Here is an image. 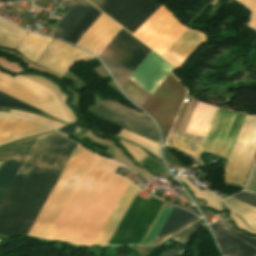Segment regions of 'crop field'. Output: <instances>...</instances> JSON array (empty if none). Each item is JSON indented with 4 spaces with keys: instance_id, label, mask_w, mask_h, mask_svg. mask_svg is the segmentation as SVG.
Instances as JSON below:
<instances>
[{
    "instance_id": "crop-field-26",
    "label": "crop field",
    "mask_w": 256,
    "mask_h": 256,
    "mask_svg": "<svg viewBox=\"0 0 256 256\" xmlns=\"http://www.w3.org/2000/svg\"><path fill=\"white\" fill-rule=\"evenodd\" d=\"M192 212H194L195 214L199 215V213H198L197 211H195L194 209H193V211H192Z\"/></svg>"
},
{
    "instance_id": "crop-field-13",
    "label": "crop field",
    "mask_w": 256,
    "mask_h": 256,
    "mask_svg": "<svg viewBox=\"0 0 256 256\" xmlns=\"http://www.w3.org/2000/svg\"><path fill=\"white\" fill-rule=\"evenodd\" d=\"M196 216L193 214L181 210L174 206L172 212L170 213L168 219L166 220L164 226L159 232L157 238L155 239L153 245L159 244L164 241L169 236L173 235L177 231L191 224L195 220H197Z\"/></svg>"
},
{
    "instance_id": "crop-field-10",
    "label": "crop field",
    "mask_w": 256,
    "mask_h": 256,
    "mask_svg": "<svg viewBox=\"0 0 256 256\" xmlns=\"http://www.w3.org/2000/svg\"><path fill=\"white\" fill-rule=\"evenodd\" d=\"M223 254L230 256H253L256 253V237H248L236 231L233 225L223 221L221 225H209Z\"/></svg>"
},
{
    "instance_id": "crop-field-7",
    "label": "crop field",
    "mask_w": 256,
    "mask_h": 256,
    "mask_svg": "<svg viewBox=\"0 0 256 256\" xmlns=\"http://www.w3.org/2000/svg\"><path fill=\"white\" fill-rule=\"evenodd\" d=\"M245 116L219 109L203 151L227 160Z\"/></svg>"
},
{
    "instance_id": "crop-field-9",
    "label": "crop field",
    "mask_w": 256,
    "mask_h": 256,
    "mask_svg": "<svg viewBox=\"0 0 256 256\" xmlns=\"http://www.w3.org/2000/svg\"><path fill=\"white\" fill-rule=\"evenodd\" d=\"M100 13L85 0H78L49 36L75 44Z\"/></svg>"
},
{
    "instance_id": "crop-field-22",
    "label": "crop field",
    "mask_w": 256,
    "mask_h": 256,
    "mask_svg": "<svg viewBox=\"0 0 256 256\" xmlns=\"http://www.w3.org/2000/svg\"><path fill=\"white\" fill-rule=\"evenodd\" d=\"M164 158L178 164L181 166L179 160L177 157H175L173 154H171L166 147H164Z\"/></svg>"
},
{
    "instance_id": "crop-field-27",
    "label": "crop field",
    "mask_w": 256,
    "mask_h": 256,
    "mask_svg": "<svg viewBox=\"0 0 256 256\" xmlns=\"http://www.w3.org/2000/svg\"><path fill=\"white\" fill-rule=\"evenodd\" d=\"M2 162H0V166H1Z\"/></svg>"
},
{
    "instance_id": "crop-field-17",
    "label": "crop field",
    "mask_w": 256,
    "mask_h": 256,
    "mask_svg": "<svg viewBox=\"0 0 256 256\" xmlns=\"http://www.w3.org/2000/svg\"><path fill=\"white\" fill-rule=\"evenodd\" d=\"M0 106H9V107H17V108H23V109H28V110H31V111H35V112H39V113H42V114H45V115H48L46 113H43L21 101H18L14 98H11L3 93L0 92ZM50 116V115H48ZM52 117V116H50Z\"/></svg>"
},
{
    "instance_id": "crop-field-6",
    "label": "crop field",
    "mask_w": 256,
    "mask_h": 256,
    "mask_svg": "<svg viewBox=\"0 0 256 256\" xmlns=\"http://www.w3.org/2000/svg\"><path fill=\"white\" fill-rule=\"evenodd\" d=\"M89 112L113 125L135 132L149 139L159 141L156 126L148 116L141 112L112 101Z\"/></svg>"
},
{
    "instance_id": "crop-field-19",
    "label": "crop field",
    "mask_w": 256,
    "mask_h": 256,
    "mask_svg": "<svg viewBox=\"0 0 256 256\" xmlns=\"http://www.w3.org/2000/svg\"><path fill=\"white\" fill-rule=\"evenodd\" d=\"M9 112L28 116V117L36 119V120H38V121H40V122H42V123H44L48 126H51L55 129H59V128L66 125V124H62V123H59V122H56V121H52V120H49L47 118H43V117H40V116H37V115L26 113V112L13 111V110H10Z\"/></svg>"
},
{
    "instance_id": "crop-field-1",
    "label": "crop field",
    "mask_w": 256,
    "mask_h": 256,
    "mask_svg": "<svg viewBox=\"0 0 256 256\" xmlns=\"http://www.w3.org/2000/svg\"><path fill=\"white\" fill-rule=\"evenodd\" d=\"M34 139L16 142L1 166L0 196ZM76 145L57 132L36 137L0 198L1 235L27 234ZM93 157L78 146L27 235L46 238Z\"/></svg>"
},
{
    "instance_id": "crop-field-15",
    "label": "crop field",
    "mask_w": 256,
    "mask_h": 256,
    "mask_svg": "<svg viewBox=\"0 0 256 256\" xmlns=\"http://www.w3.org/2000/svg\"><path fill=\"white\" fill-rule=\"evenodd\" d=\"M26 31L0 19V46L15 49Z\"/></svg>"
},
{
    "instance_id": "crop-field-20",
    "label": "crop field",
    "mask_w": 256,
    "mask_h": 256,
    "mask_svg": "<svg viewBox=\"0 0 256 256\" xmlns=\"http://www.w3.org/2000/svg\"><path fill=\"white\" fill-rule=\"evenodd\" d=\"M233 197L242 201V202L248 203V204L253 205V206L256 207V195H254V194L242 192V193L237 194Z\"/></svg>"
},
{
    "instance_id": "crop-field-11",
    "label": "crop field",
    "mask_w": 256,
    "mask_h": 256,
    "mask_svg": "<svg viewBox=\"0 0 256 256\" xmlns=\"http://www.w3.org/2000/svg\"><path fill=\"white\" fill-rule=\"evenodd\" d=\"M173 68L151 50L129 78L151 95Z\"/></svg>"
},
{
    "instance_id": "crop-field-16",
    "label": "crop field",
    "mask_w": 256,
    "mask_h": 256,
    "mask_svg": "<svg viewBox=\"0 0 256 256\" xmlns=\"http://www.w3.org/2000/svg\"><path fill=\"white\" fill-rule=\"evenodd\" d=\"M172 208L164 206L163 210L161 211L160 215L158 216L157 220L155 221L154 225L152 226L151 230L143 241L142 245H152L154 239L156 238Z\"/></svg>"
},
{
    "instance_id": "crop-field-14",
    "label": "crop field",
    "mask_w": 256,
    "mask_h": 256,
    "mask_svg": "<svg viewBox=\"0 0 256 256\" xmlns=\"http://www.w3.org/2000/svg\"><path fill=\"white\" fill-rule=\"evenodd\" d=\"M204 40L202 33L188 30L167 51L184 59Z\"/></svg>"
},
{
    "instance_id": "crop-field-21",
    "label": "crop field",
    "mask_w": 256,
    "mask_h": 256,
    "mask_svg": "<svg viewBox=\"0 0 256 256\" xmlns=\"http://www.w3.org/2000/svg\"><path fill=\"white\" fill-rule=\"evenodd\" d=\"M84 128L80 125V121L60 130L62 133L66 134V135H73L81 130H83Z\"/></svg>"
},
{
    "instance_id": "crop-field-24",
    "label": "crop field",
    "mask_w": 256,
    "mask_h": 256,
    "mask_svg": "<svg viewBox=\"0 0 256 256\" xmlns=\"http://www.w3.org/2000/svg\"><path fill=\"white\" fill-rule=\"evenodd\" d=\"M88 1L97 7L103 0H88Z\"/></svg>"
},
{
    "instance_id": "crop-field-25",
    "label": "crop field",
    "mask_w": 256,
    "mask_h": 256,
    "mask_svg": "<svg viewBox=\"0 0 256 256\" xmlns=\"http://www.w3.org/2000/svg\"><path fill=\"white\" fill-rule=\"evenodd\" d=\"M218 0H214L213 3L211 4V6H213Z\"/></svg>"
},
{
    "instance_id": "crop-field-5",
    "label": "crop field",
    "mask_w": 256,
    "mask_h": 256,
    "mask_svg": "<svg viewBox=\"0 0 256 256\" xmlns=\"http://www.w3.org/2000/svg\"><path fill=\"white\" fill-rule=\"evenodd\" d=\"M187 29L162 5L133 35L161 55Z\"/></svg>"
},
{
    "instance_id": "crop-field-18",
    "label": "crop field",
    "mask_w": 256,
    "mask_h": 256,
    "mask_svg": "<svg viewBox=\"0 0 256 256\" xmlns=\"http://www.w3.org/2000/svg\"><path fill=\"white\" fill-rule=\"evenodd\" d=\"M204 224L205 223L202 220L196 223L195 225L189 227L188 229L184 230L183 232L177 234L176 236L172 237L171 239L187 244V242L190 240L193 234Z\"/></svg>"
},
{
    "instance_id": "crop-field-8",
    "label": "crop field",
    "mask_w": 256,
    "mask_h": 256,
    "mask_svg": "<svg viewBox=\"0 0 256 256\" xmlns=\"http://www.w3.org/2000/svg\"><path fill=\"white\" fill-rule=\"evenodd\" d=\"M159 7L152 0H104L97 8L133 34Z\"/></svg>"
},
{
    "instance_id": "crop-field-23",
    "label": "crop field",
    "mask_w": 256,
    "mask_h": 256,
    "mask_svg": "<svg viewBox=\"0 0 256 256\" xmlns=\"http://www.w3.org/2000/svg\"><path fill=\"white\" fill-rule=\"evenodd\" d=\"M179 252L178 250H168L164 256H176Z\"/></svg>"
},
{
    "instance_id": "crop-field-4",
    "label": "crop field",
    "mask_w": 256,
    "mask_h": 256,
    "mask_svg": "<svg viewBox=\"0 0 256 256\" xmlns=\"http://www.w3.org/2000/svg\"><path fill=\"white\" fill-rule=\"evenodd\" d=\"M197 103L191 98L178 131H186ZM217 110L199 102L186 132L207 136ZM188 133L177 132L172 145L199 157L206 137Z\"/></svg>"
},
{
    "instance_id": "crop-field-3",
    "label": "crop field",
    "mask_w": 256,
    "mask_h": 256,
    "mask_svg": "<svg viewBox=\"0 0 256 256\" xmlns=\"http://www.w3.org/2000/svg\"><path fill=\"white\" fill-rule=\"evenodd\" d=\"M150 50L122 28L104 52L134 71ZM104 52L99 57L120 87L133 71Z\"/></svg>"
},
{
    "instance_id": "crop-field-12",
    "label": "crop field",
    "mask_w": 256,
    "mask_h": 256,
    "mask_svg": "<svg viewBox=\"0 0 256 256\" xmlns=\"http://www.w3.org/2000/svg\"><path fill=\"white\" fill-rule=\"evenodd\" d=\"M138 189V187L130 182L129 186L127 187L122 198L120 199L119 203L117 204L116 208L114 209L113 213L105 224L94 245H106L107 241L109 240L110 236L112 235L113 231L121 220L123 214L125 213Z\"/></svg>"
},
{
    "instance_id": "crop-field-2",
    "label": "crop field",
    "mask_w": 256,
    "mask_h": 256,
    "mask_svg": "<svg viewBox=\"0 0 256 256\" xmlns=\"http://www.w3.org/2000/svg\"><path fill=\"white\" fill-rule=\"evenodd\" d=\"M118 167L95 155L47 238L93 245L129 184Z\"/></svg>"
}]
</instances>
